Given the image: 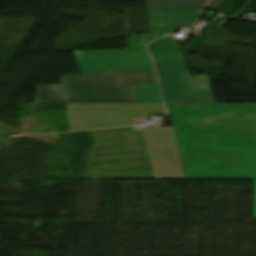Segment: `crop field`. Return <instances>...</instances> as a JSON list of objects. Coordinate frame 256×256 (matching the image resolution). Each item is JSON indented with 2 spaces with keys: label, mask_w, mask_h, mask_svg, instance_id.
Listing matches in <instances>:
<instances>
[{
  "label": "crop field",
  "mask_w": 256,
  "mask_h": 256,
  "mask_svg": "<svg viewBox=\"0 0 256 256\" xmlns=\"http://www.w3.org/2000/svg\"><path fill=\"white\" fill-rule=\"evenodd\" d=\"M138 103H163L158 83L135 85Z\"/></svg>",
  "instance_id": "9"
},
{
  "label": "crop field",
  "mask_w": 256,
  "mask_h": 256,
  "mask_svg": "<svg viewBox=\"0 0 256 256\" xmlns=\"http://www.w3.org/2000/svg\"><path fill=\"white\" fill-rule=\"evenodd\" d=\"M60 78L63 85L38 87L34 104L137 103L134 84L158 82L154 71Z\"/></svg>",
  "instance_id": "2"
},
{
  "label": "crop field",
  "mask_w": 256,
  "mask_h": 256,
  "mask_svg": "<svg viewBox=\"0 0 256 256\" xmlns=\"http://www.w3.org/2000/svg\"><path fill=\"white\" fill-rule=\"evenodd\" d=\"M142 131L154 179L183 178L171 127Z\"/></svg>",
  "instance_id": "6"
},
{
  "label": "crop field",
  "mask_w": 256,
  "mask_h": 256,
  "mask_svg": "<svg viewBox=\"0 0 256 256\" xmlns=\"http://www.w3.org/2000/svg\"><path fill=\"white\" fill-rule=\"evenodd\" d=\"M207 0H147L148 10L202 9Z\"/></svg>",
  "instance_id": "8"
},
{
  "label": "crop field",
  "mask_w": 256,
  "mask_h": 256,
  "mask_svg": "<svg viewBox=\"0 0 256 256\" xmlns=\"http://www.w3.org/2000/svg\"><path fill=\"white\" fill-rule=\"evenodd\" d=\"M148 35L128 37V50L73 51L83 75L154 70Z\"/></svg>",
  "instance_id": "4"
},
{
  "label": "crop field",
  "mask_w": 256,
  "mask_h": 256,
  "mask_svg": "<svg viewBox=\"0 0 256 256\" xmlns=\"http://www.w3.org/2000/svg\"><path fill=\"white\" fill-rule=\"evenodd\" d=\"M224 0H211L206 9L219 10Z\"/></svg>",
  "instance_id": "10"
},
{
  "label": "crop field",
  "mask_w": 256,
  "mask_h": 256,
  "mask_svg": "<svg viewBox=\"0 0 256 256\" xmlns=\"http://www.w3.org/2000/svg\"><path fill=\"white\" fill-rule=\"evenodd\" d=\"M151 46L168 103H215L209 77H190L176 39L164 37Z\"/></svg>",
  "instance_id": "3"
},
{
  "label": "crop field",
  "mask_w": 256,
  "mask_h": 256,
  "mask_svg": "<svg viewBox=\"0 0 256 256\" xmlns=\"http://www.w3.org/2000/svg\"><path fill=\"white\" fill-rule=\"evenodd\" d=\"M254 218H256V180H254Z\"/></svg>",
  "instance_id": "11"
},
{
  "label": "crop field",
  "mask_w": 256,
  "mask_h": 256,
  "mask_svg": "<svg viewBox=\"0 0 256 256\" xmlns=\"http://www.w3.org/2000/svg\"><path fill=\"white\" fill-rule=\"evenodd\" d=\"M202 10L148 11L152 40L179 28L193 25Z\"/></svg>",
  "instance_id": "7"
},
{
  "label": "crop field",
  "mask_w": 256,
  "mask_h": 256,
  "mask_svg": "<svg viewBox=\"0 0 256 256\" xmlns=\"http://www.w3.org/2000/svg\"><path fill=\"white\" fill-rule=\"evenodd\" d=\"M186 178L256 179V104H168Z\"/></svg>",
  "instance_id": "1"
},
{
  "label": "crop field",
  "mask_w": 256,
  "mask_h": 256,
  "mask_svg": "<svg viewBox=\"0 0 256 256\" xmlns=\"http://www.w3.org/2000/svg\"><path fill=\"white\" fill-rule=\"evenodd\" d=\"M72 131L135 125L148 113H166L163 104H67Z\"/></svg>",
  "instance_id": "5"
}]
</instances>
